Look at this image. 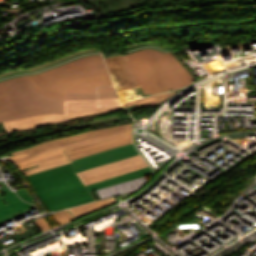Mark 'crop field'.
<instances>
[{
    "label": "crop field",
    "mask_w": 256,
    "mask_h": 256,
    "mask_svg": "<svg viewBox=\"0 0 256 256\" xmlns=\"http://www.w3.org/2000/svg\"><path fill=\"white\" fill-rule=\"evenodd\" d=\"M124 109L122 106H111L98 108L97 100L95 101H76L65 100V115L44 114L35 117L2 122L5 131L15 132L22 130L36 129L39 127L61 123L67 119H74L83 116L101 114L111 111Z\"/></svg>",
    "instance_id": "obj_6"
},
{
    "label": "crop field",
    "mask_w": 256,
    "mask_h": 256,
    "mask_svg": "<svg viewBox=\"0 0 256 256\" xmlns=\"http://www.w3.org/2000/svg\"><path fill=\"white\" fill-rule=\"evenodd\" d=\"M65 99L94 100V99H97V97H96V92H90V93L65 92Z\"/></svg>",
    "instance_id": "obj_15"
},
{
    "label": "crop field",
    "mask_w": 256,
    "mask_h": 256,
    "mask_svg": "<svg viewBox=\"0 0 256 256\" xmlns=\"http://www.w3.org/2000/svg\"><path fill=\"white\" fill-rule=\"evenodd\" d=\"M133 193H131V194H128V195H124V196H120L122 199H125V198H127V197H129L130 195H132Z\"/></svg>",
    "instance_id": "obj_22"
},
{
    "label": "crop field",
    "mask_w": 256,
    "mask_h": 256,
    "mask_svg": "<svg viewBox=\"0 0 256 256\" xmlns=\"http://www.w3.org/2000/svg\"><path fill=\"white\" fill-rule=\"evenodd\" d=\"M138 155L133 143L109 149L98 154L72 161L73 169L76 173L85 171L97 166H101L114 161L122 160Z\"/></svg>",
    "instance_id": "obj_8"
},
{
    "label": "crop field",
    "mask_w": 256,
    "mask_h": 256,
    "mask_svg": "<svg viewBox=\"0 0 256 256\" xmlns=\"http://www.w3.org/2000/svg\"><path fill=\"white\" fill-rule=\"evenodd\" d=\"M103 90H115L114 87H109V88H99V91Z\"/></svg>",
    "instance_id": "obj_21"
},
{
    "label": "crop field",
    "mask_w": 256,
    "mask_h": 256,
    "mask_svg": "<svg viewBox=\"0 0 256 256\" xmlns=\"http://www.w3.org/2000/svg\"><path fill=\"white\" fill-rule=\"evenodd\" d=\"M27 179L50 211L93 201L70 163L27 176Z\"/></svg>",
    "instance_id": "obj_5"
},
{
    "label": "crop field",
    "mask_w": 256,
    "mask_h": 256,
    "mask_svg": "<svg viewBox=\"0 0 256 256\" xmlns=\"http://www.w3.org/2000/svg\"><path fill=\"white\" fill-rule=\"evenodd\" d=\"M133 124L120 125L105 129L79 133L59 138L32 148L12 152L13 161L25 176L37 173L70 161L89 156L100 151L133 142ZM39 164L40 167L24 171L23 169Z\"/></svg>",
    "instance_id": "obj_1"
},
{
    "label": "crop field",
    "mask_w": 256,
    "mask_h": 256,
    "mask_svg": "<svg viewBox=\"0 0 256 256\" xmlns=\"http://www.w3.org/2000/svg\"><path fill=\"white\" fill-rule=\"evenodd\" d=\"M30 77L38 90L63 100L64 91L90 92L113 85L103 56L85 57Z\"/></svg>",
    "instance_id": "obj_3"
},
{
    "label": "crop field",
    "mask_w": 256,
    "mask_h": 256,
    "mask_svg": "<svg viewBox=\"0 0 256 256\" xmlns=\"http://www.w3.org/2000/svg\"><path fill=\"white\" fill-rule=\"evenodd\" d=\"M44 113L64 114V101L39 92L29 75L0 81V122Z\"/></svg>",
    "instance_id": "obj_4"
},
{
    "label": "crop field",
    "mask_w": 256,
    "mask_h": 256,
    "mask_svg": "<svg viewBox=\"0 0 256 256\" xmlns=\"http://www.w3.org/2000/svg\"><path fill=\"white\" fill-rule=\"evenodd\" d=\"M105 60L122 89L141 85L144 93H153L181 88L195 81L172 54L152 49Z\"/></svg>",
    "instance_id": "obj_2"
},
{
    "label": "crop field",
    "mask_w": 256,
    "mask_h": 256,
    "mask_svg": "<svg viewBox=\"0 0 256 256\" xmlns=\"http://www.w3.org/2000/svg\"><path fill=\"white\" fill-rule=\"evenodd\" d=\"M5 133H6V132H4V133H1V134H5ZM1 134H0V135H1Z\"/></svg>",
    "instance_id": "obj_23"
},
{
    "label": "crop field",
    "mask_w": 256,
    "mask_h": 256,
    "mask_svg": "<svg viewBox=\"0 0 256 256\" xmlns=\"http://www.w3.org/2000/svg\"><path fill=\"white\" fill-rule=\"evenodd\" d=\"M35 223L37 226H39L42 229L43 232L50 229L49 225L47 224V222L44 218L35 220Z\"/></svg>",
    "instance_id": "obj_18"
},
{
    "label": "crop field",
    "mask_w": 256,
    "mask_h": 256,
    "mask_svg": "<svg viewBox=\"0 0 256 256\" xmlns=\"http://www.w3.org/2000/svg\"><path fill=\"white\" fill-rule=\"evenodd\" d=\"M175 92L176 91H173L171 93H165V94H160V95L140 99V100L133 101V102H129V103L124 104V106L126 108H128L129 106H132V105H137L139 108L148 107V106H155V105L159 104L160 102H162L164 99H166V98L170 97L171 95L175 94Z\"/></svg>",
    "instance_id": "obj_13"
},
{
    "label": "crop field",
    "mask_w": 256,
    "mask_h": 256,
    "mask_svg": "<svg viewBox=\"0 0 256 256\" xmlns=\"http://www.w3.org/2000/svg\"><path fill=\"white\" fill-rule=\"evenodd\" d=\"M115 202H118V201L115 198H112V199H108V200L98 201V202L70 208L69 210L74 215V217L76 219H79L83 216L97 212L98 210H100L106 206H109Z\"/></svg>",
    "instance_id": "obj_11"
},
{
    "label": "crop field",
    "mask_w": 256,
    "mask_h": 256,
    "mask_svg": "<svg viewBox=\"0 0 256 256\" xmlns=\"http://www.w3.org/2000/svg\"><path fill=\"white\" fill-rule=\"evenodd\" d=\"M19 73H27V71L26 70L13 71V72H10V73H7V74L0 75V78H5V77L13 76V75L19 74Z\"/></svg>",
    "instance_id": "obj_20"
},
{
    "label": "crop field",
    "mask_w": 256,
    "mask_h": 256,
    "mask_svg": "<svg viewBox=\"0 0 256 256\" xmlns=\"http://www.w3.org/2000/svg\"><path fill=\"white\" fill-rule=\"evenodd\" d=\"M118 97L115 91L99 92V99H110Z\"/></svg>",
    "instance_id": "obj_17"
},
{
    "label": "crop field",
    "mask_w": 256,
    "mask_h": 256,
    "mask_svg": "<svg viewBox=\"0 0 256 256\" xmlns=\"http://www.w3.org/2000/svg\"><path fill=\"white\" fill-rule=\"evenodd\" d=\"M92 52H100L98 50H88V51H83V52H78V53H75V54H71V55H68V56H65L63 58H60V59H57V60H54L52 62H49V63H46L44 65H40V66H37L35 68H32V69H29L28 72L29 73H33L35 71H39V70H42L46 67H50V66H54L56 64H59L61 62H64V61H67V60H70L78 55H82V54H87V53H92Z\"/></svg>",
    "instance_id": "obj_14"
},
{
    "label": "crop field",
    "mask_w": 256,
    "mask_h": 256,
    "mask_svg": "<svg viewBox=\"0 0 256 256\" xmlns=\"http://www.w3.org/2000/svg\"><path fill=\"white\" fill-rule=\"evenodd\" d=\"M150 173H152V170L148 166L146 168H143L141 170H138V171H135V172H132V173H128V174H125V175H122V176H118V177L111 178V179H108V180H104V181H101V182H97V183H94V184H91V185H87L86 187L89 191H92V190L103 188V187H106V186H109V185H112V184H115V183H118V182H121V181H125V180H128V179H133V178H137V177H140V176H143V175H147V174H150Z\"/></svg>",
    "instance_id": "obj_10"
},
{
    "label": "crop field",
    "mask_w": 256,
    "mask_h": 256,
    "mask_svg": "<svg viewBox=\"0 0 256 256\" xmlns=\"http://www.w3.org/2000/svg\"><path fill=\"white\" fill-rule=\"evenodd\" d=\"M146 166H148L147 163L143 160L141 155H138L122 161L81 172L77 175L82 179L83 183L87 185L97 181L122 175L131 171H135Z\"/></svg>",
    "instance_id": "obj_7"
},
{
    "label": "crop field",
    "mask_w": 256,
    "mask_h": 256,
    "mask_svg": "<svg viewBox=\"0 0 256 256\" xmlns=\"http://www.w3.org/2000/svg\"><path fill=\"white\" fill-rule=\"evenodd\" d=\"M129 118H131V117H128L126 119H129ZM120 120H125V119H121L119 116L106 117V118H102V119H96L95 121H91L90 123L79 124L77 126L70 127V128H67V129L84 128V127H88V126L105 124V123H110V122H115V121H120ZM61 130H65V129H61ZM61 130H55L53 132H57V131H61ZM53 132H49V133H53ZM49 133H45V134L37 135V136L20 138L18 140H13V141H8L6 143L0 144V147L5 146V145L10 144V143L17 142V141L31 139V138H35V137H38V136H43V135H46V134H49Z\"/></svg>",
    "instance_id": "obj_12"
},
{
    "label": "crop field",
    "mask_w": 256,
    "mask_h": 256,
    "mask_svg": "<svg viewBox=\"0 0 256 256\" xmlns=\"http://www.w3.org/2000/svg\"><path fill=\"white\" fill-rule=\"evenodd\" d=\"M0 185L6 193L4 198L0 195V217L32 207V205L23 202L15 193H12L4 182L0 181Z\"/></svg>",
    "instance_id": "obj_9"
},
{
    "label": "crop field",
    "mask_w": 256,
    "mask_h": 256,
    "mask_svg": "<svg viewBox=\"0 0 256 256\" xmlns=\"http://www.w3.org/2000/svg\"><path fill=\"white\" fill-rule=\"evenodd\" d=\"M100 105L121 104L119 99L99 100Z\"/></svg>",
    "instance_id": "obj_19"
},
{
    "label": "crop field",
    "mask_w": 256,
    "mask_h": 256,
    "mask_svg": "<svg viewBox=\"0 0 256 256\" xmlns=\"http://www.w3.org/2000/svg\"><path fill=\"white\" fill-rule=\"evenodd\" d=\"M54 218L59 224H64L66 222L74 220V218L66 210L55 213Z\"/></svg>",
    "instance_id": "obj_16"
}]
</instances>
